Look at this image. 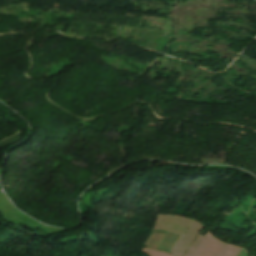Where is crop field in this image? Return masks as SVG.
<instances>
[{
    "mask_svg": "<svg viewBox=\"0 0 256 256\" xmlns=\"http://www.w3.org/2000/svg\"><path fill=\"white\" fill-rule=\"evenodd\" d=\"M204 228V226L192 222V224L187 229V232L182 236V238L178 241V243L174 246L171 252L178 256H182L191 242L195 239L198 233Z\"/></svg>",
    "mask_w": 256,
    "mask_h": 256,
    "instance_id": "obj_1",
    "label": "crop field"
},
{
    "mask_svg": "<svg viewBox=\"0 0 256 256\" xmlns=\"http://www.w3.org/2000/svg\"><path fill=\"white\" fill-rule=\"evenodd\" d=\"M211 236L212 235L209 232L205 237L198 235L187 250V252L184 254V256H199L208 241L210 240Z\"/></svg>",
    "mask_w": 256,
    "mask_h": 256,
    "instance_id": "obj_2",
    "label": "crop field"
},
{
    "mask_svg": "<svg viewBox=\"0 0 256 256\" xmlns=\"http://www.w3.org/2000/svg\"><path fill=\"white\" fill-rule=\"evenodd\" d=\"M223 244L224 243L212 237L200 256H216Z\"/></svg>",
    "mask_w": 256,
    "mask_h": 256,
    "instance_id": "obj_3",
    "label": "crop field"
},
{
    "mask_svg": "<svg viewBox=\"0 0 256 256\" xmlns=\"http://www.w3.org/2000/svg\"><path fill=\"white\" fill-rule=\"evenodd\" d=\"M241 247L224 244L223 248L219 252L218 256H236Z\"/></svg>",
    "mask_w": 256,
    "mask_h": 256,
    "instance_id": "obj_4",
    "label": "crop field"
},
{
    "mask_svg": "<svg viewBox=\"0 0 256 256\" xmlns=\"http://www.w3.org/2000/svg\"><path fill=\"white\" fill-rule=\"evenodd\" d=\"M141 252L145 253L148 256H173L172 254L144 248Z\"/></svg>",
    "mask_w": 256,
    "mask_h": 256,
    "instance_id": "obj_5",
    "label": "crop field"
}]
</instances>
